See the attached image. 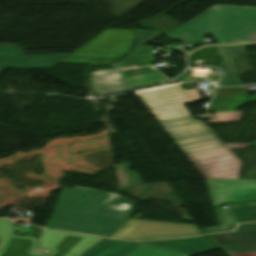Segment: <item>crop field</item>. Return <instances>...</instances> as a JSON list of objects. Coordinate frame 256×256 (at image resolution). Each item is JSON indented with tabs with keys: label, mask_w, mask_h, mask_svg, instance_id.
Here are the masks:
<instances>
[{
	"label": "crop field",
	"mask_w": 256,
	"mask_h": 256,
	"mask_svg": "<svg viewBox=\"0 0 256 256\" xmlns=\"http://www.w3.org/2000/svg\"><path fill=\"white\" fill-rule=\"evenodd\" d=\"M134 204L117 194L65 187L45 228L106 236L129 218Z\"/></svg>",
	"instance_id": "crop-field-1"
},
{
	"label": "crop field",
	"mask_w": 256,
	"mask_h": 256,
	"mask_svg": "<svg viewBox=\"0 0 256 256\" xmlns=\"http://www.w3.org/2000/svg\"><path fill=\"white\" fill-rule=\"evenodd\" d=\"M14 231V224L0 219V256H121L138 244L106 239L80 255L102 238L45 230L40 238V247L52 251L48 255H41L34 254L37 239L14 236Z\"/></svg>",
	"instance_id": "crop-field-2"
},
{
	"label": "crop field",
	"mask_w": 256,
	"mask_h": 256,
	"mask_svg": "<svg viewBox=\"0 0 256 256\" xmlns=\"http://www.w3.org/2000/svg\"><path fill=\"white\" fill-rule=\"evenodd\" d=\"M207 33L218 44L256 40V7L214 5L169 35L174 39L189 41Z\"/></svg>",
	"instance_id": "crop-field-3"
},
{
	"label": "crop field",
	"mask_w": 256,
	"mask_h": 256,
	"mask_svg": "<svg viewBox=\"0 0 256 256\" xmlns=\"http://www.w3.org/2000/svg\"><path fill=\"white\" fill-rule=\"evenodd\" d=\"M132 42V30L106 29L61 62L111 63L129 51Z\"/></svg>",
	"instance_id": "crop-field-4"
},
{
	"label": "crop field",
	"mask_w": 256,
	"mask_h": 256,
	"mask_svg": "<svg viewBox=\"0 0 256 256\" xmlns=\"http://www.w3.org/2000/svg\"><path fill=\"white\" fill-rule=\"evenodd\" d=\"M157 120L188 115L182 105L205 100L197 89L186 91L179 84L144 89L134 92Z\"/></svg>",
	"instance_id": "crop-field-5"
},
{
	"label": "crop field",
	"mask_w": 256,
	"mask_h": 256,
	"mask_svg": "<svg viewBox=\"0 0 256 256\" xmlns=\"http://www.w3.org/2000/svg\"><path fill=\"white\" fill-rule=\"evenodd\" d=\"M184 154L224 145L200 120L191 115L159 121Z\"/></svg>",
	"instance_id": "crop-field-6"
},
{
	"label": "crop field",
	"mask_w": 256,
	"mask_h": 256,
	"mask_svg": "<svg viewBox=\"0 0 256 256\" xmlns=\"http://www.w3.org/2000/svg\"><path fill=\"white\" fill-rule=\"evenodd\" d=\"M204 179H238L241 162L226 146L186 155Z\"/></svg>",
	"instance_id": "crop-field-7"
},
{
	"label": "crop field",
	"mask_w": 256,
	"mask_h": 256,
	"mask_svg": "<svg viewBox=\"0 0 256 256\" xmlns=\"http://www.w3.org/2000/svg\"><path fill=\"white\" fill-rule=\"evenodd\" d=\"M201 234L194 224L164 223L130 219L110 237L125 240H149Z\"/></svg>",
	"instance_id": "crop-field-8"
},
{
	"label": "crop field",
	"mask_w": 256,
	"mask_h": 256,
	"mask_svg": "<svg viewBox=\"0 0 256 256\" xmlns=\"http://www.w3.org/2000/svg\"><path fill=\"white\" fill-rule=\"evenodd\" d=\"M113 66L117 69L90 74L91 88L99 96L170 82L159 72L124 78L118 64Z\"/></svg>",
	"instance_id": "crop-field-9"
},
{
	"label": "crop field",
	"mask_w": 256,
	"mask_h": 256,
	"mask_svg": "<svg viewBox=\"0 0 256 256\" xmlns=\"http://www.w3.org/2000/svg\"><path fill=\"white\" fill-rule=\"evenodd\" d=\"M212 202L222 203L256 200V180H205Z\"/></svg>",
	"instance_id": "crop-field-10"
},
{
	"label": "crop field",
	"mask_w": 256,
	"mask_h": 256,
	"mask_svg": "<svg viewBox=\"0 0 256 256\" xmlns=\"http://www.w3.org/2000/svg\"><path fill=\"white\" fill-rule=\"evenodd\" d=\"M207 236L229 256H256V223L240 225L237 232Z\"/></svg>",
	"instance_id": "crop-field-11"
},
{
	"label": "crop field",
	"mask_w": 256,
	"mask_h": 256,
	"mask_svg": "<svg viewBox=\"0 0 256 256\" xmlns=\"http://www.w3.org/2000/svg\"><path fill=\"white\" fill-rule=\"evenodd\" d=\"M67 55H24L17 44L0 45V73L7 67L50 68Z\"/></svg>",
	"instance_id": "crop-field-12"
},
{
	"label": "crop field",
	"mask_w": 256,
	"mask_h": 256,
	"mask_svg": "<svg viewBox=\"0 0 256 256\" xmlns=\"http://www.w3.org/2000/svg\"><path fill=\"white\" fill-rule=\"evenodd\" d=\"M145 243L192 255L218 249V247L210 242L205 236L161 241H149Z\"/></svg>",
	"instance_id": "crop-field-13"
},
{
	"label": "crop field",
	"mask_w": 256,
	"mask_h": 256,
	"mask_svg": "<svg viewBox=\"0 0 256 256\" xmlns=\"http://www.w3.org/2000/svg\"><path fill=\"white\" fill-rule=\"evenodd\" d=\"M219 54L222 55L223 64L220 68L223 69V76L219 86L239 85L236 78L232 58L242 53V45L234 46H218Z\"/></svg>",
	"instance_id": "crop-field-14"
},
{
	"label": "crop field",
	"mask_w": 256,
	"mask_h": 256,
	"mask_svg": "<svg viewBox=\"0 0 256 256\" xmlns=\"http://www.w3.org/2000/svg\"><path fill=\"white\" fill-rule=\"evenodd\" d=\"M251 96L245 97L243 91L217 93L212 100L209 109L214 112L236 111Z\"/></svg>",
	"instance_id": "crop-field-15"
},
{
	"label": "crop field",
	"mask_w": 256,
	"mask_h": 256,
	"mask_svg": "<svg viewBox=\"0 0 256 256\" xmlns=\"http://www.w3.org/2000/svg\"><path fill=\"white\" fill-rule=\"evenodd\" d=\"M238 223L256 221V202L228 204Z\"/></svg>",
	"instance_id": "crop-field-16"
},
{
	"label": "crop field",
	"mask_w": 256,
	"mask_h": 256,
	"mask_svg": "<svg viewBox=\"0 0 256 256\" xmlns=\"http://www.w3.org/2000/svg\"><path fill=\"white\" fill-rule=\"evenodd\" d=\"M125 256H191L149 244H141Z\"/></svg>",
	"instance_id": "crop-field-17"
},
{
	"label": "crop field",
	"mask_w": 256,
	"mask_h": 256,
	"mask_svg": "<svg viewBox=\"0 0 256 256\" xmlns=\"http://www.w3.org/2000/svg\"><path fill=\"white\" fill-rule=\"evenodd\" d=\"M137 25L141 27L152 28V31L170 33L171 31L178 28L182 24L172 19L171 17L164 15L154 20L146 21Z\"/></svg>",
	"instance_id": "crop-field-18"
},
{
	"label": "crop field",
	"mask_w": 256,
	"mask_h": 256,
	"mask_svg": "<svg viewBox=\"0 0 256 256\" xmlns=\"http://www.w3.org/2000/svg\"><path fill=\"white\" fill-rule=\"evenodd\" d=\"M220 226L200 229L204 233H214L234 229V221L229 210H222L221 206L215 209Z\"/></svg>",
	"instance_id": "crop-field-19"
},
{
	"label": "crop field",
	"mask_w": 256,
	"mask_h": 256,
	"mask_svg": "<svg viewBox=\"0 0 256 256\" xmlns=\"http://www.w3.org/2000/svg\"><path fill=\"white\" fill-rule=\"evenodd\" d=\"M153 61L155 60L151 47L143 46L124 61H122L119 65L120 67H124Z\"/></svg>",
	"instance_id": "crop-field-20"
},
{
	"label": "crop field",
	"mask_w": 256,
	"mask_h": 256,
	"mask_svg": "<svg viewBox=\"0 0 256 256\" xmlns=\"http://www.w3.org/2000/svg\"><path fill=\"white\" fill-rule=\"evenodd\" d=\"M136 31V36H137V42L134 45L133 51H136L138 48H140L141 46H143L144 44H146L151 37L155 36L156 32H152V31H143V30H139V29H135Z\"/></svg>",
	"instance_id": "crop-field-21"
},
{
	"label": "crop field",
	"mask_w": 256,
	"mask_h": 256,
	"mask_svg": "<svg viewBox=\"0 0 256 256\" xmlns=\"http://www.w3.org/2000/svg\"><path fill=\"white\" fill-rule=\"evenodd\" d=\"M243 112L216 113V120L207 122L239 121Z\"/></svg>",
	"instance_id": "crop-field-22"
},
{
	"label": "crop field",
	"mask_w": 256,
	"mask_h": 256,
	"mask_svg": "<svg viewBox=\"0 0 256 256\" xmlns=\"http://www.w3.org/2000/svg\"><path fill=\"white\" fill-rule=\"evenodd\" d=\"M152 68H142V69H136V70H130V71H124L123 74L125 77L127 76H132V75H137V74H142V73H147V72H152Z\"/></svg>",
	"instance_id": "crop-field-23"
},
{
	"label": "crop field",
	"mask_w": 256,
	"mask_h": 256,
	"mask_svg": "<svg viewBox=\"0 0 256 256\" xmlns=\"http://www.w3.org/2000/svg\"><path fill=\"white\" fill-rule=\"evenodd\" d=\"M249 143H239V144H227L230 149H239V148H247Z\"/></svg>",
	"instance_id": "crop-field-24"
},
{
	"label": "crop field",
	"mask_w": 256,
	"mask_h": 256,
	"mask_svg": "<svg viewBox=\"0 0 256 256\" xmlns=\"http://www.w3.org/2000/svg\"><path fill=\"white\" fill-rule=\"evenodd\" d=\"M242 90L241 87H234V88H219L217 92H223V91H237Z\"/></svg>",
	"instance_id": "crop-field-25"
},
{
	"label": "crop field",
	"mask_w": 256,
	"mask_h": 256,
	"mask_svg": "<svg viewBox=\"0 0 256 256\" xmlns=\"http://www.w3.org/2000/svg\"><path fill=\"white\" fill-rule=\"evenodd\" d=\"M250 46H256V43L255 44L243 45V53H246V47H250Z\"/></svg>",
	"instance_id": "crop-field-26"
},
{
	"label": "crop field",
	"mask_w": 256,
	"mask_h": 256,
	"mask_svg": "<svg viewBox=\"0 0 256 256\" xmlns=\"http://www.w3.org/2000/svg\"><path fill=\"white\" fill-rule=\"evenodd\" d=\"M256 100V96L255 97H253V98H251L250 100H248V101H251V102H253V101H255Z\"/></svg>",
	"instance_id": "crop-field-27"
},
{
	"label": "crop field",
	"mask_w": 256,
	"mask_h": 256,
	"mask_svg": "<svg viewBox=\"0 0 256 256\" xmlns=\"http://www.w3.org/2000/svg\"><path fill=\"white\" fill-rule=\"evenodd\" d=\"M249 145L250 146H256V140L253 143L249 144Z\"/></svg>",
	"instance_id": "crop-field-28"
}]
</instances>
